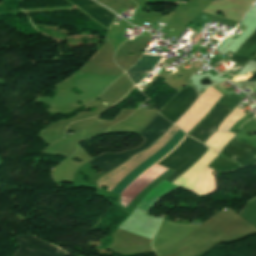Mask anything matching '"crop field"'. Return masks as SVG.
<instances>
[{
    "label": "crop field",
    "instance_id": "crop-field-2",
    "mask_svg": "<svg viewBox=\"0 0 256 256\" xmlns=\"http://www.w3.org/2000/svg\"><path fill=\"white\" fill-rule=\"evenodd\" d=\"M171 125L173 124L161 117L158 113L154 120L138 133L144 139V142L141 146L122 152L104 153L99 157L85 163L84 165L93 170L92 167H96V164L107 173L111 169L126 161L128 157L149 147L158 138H160ZM93 171L95 172V170Z\"/></svg>",
    "mask_w": 256,
    "mask_h": 256
},
{
    "label": "crop field",
    "instance_id": "crop-field-3",
    "mask_svg": "<svg viewBox=\"0 0 256 256\" xmlns=\"http://www.w3.org/2000/svg\"><path fill=\"white\" fill-rule=\"evenodd\" d=\"M228 108V106L217 102L209 114L192 129L189 135L204 143L230 112L227 110Z\"/></svg>",
    "mask_w": 256,
    "mask_h": 256
},
{
    "label": "crop field",
    "instance_id": "crop-field-8",
    "mask_svg": "<svg viewBox=\"0 0 256 256\" xmlns=\"http://www.w3.org/2000/svg\"><path fill=\"white\" fill-rule=\"evenodd\" d=\"M69 2L74 3L79 8H81L84 12L90 15L97 22L102 24L104 27H107L109 22L111 21L113 15L103 8L97 6L90 0H67ZM114 18V17H113Z\"/></svg>",
    "mask_w": 256,
    "mask_h": 256
},
{
    "label": "crop field",
    "instance_id": "crop-field-9",
    "mask_svg": "<svg viewBox=\"0 0 256 256\" xmlns=\"http://www.w3.org/2000/svg\"><path fill=\"white\" fill-rule=\"evenodd\" d=\"M162 57L159 56H151L148 57H142L128 72L127 74L132 79V81L135 83H139L143 78L148 76L152 69L155 67V65L158 63V61Z\"/></svg>",
    "mask_w": 256,
    "mask_h": 256
},
{
    "label": "crop field",
    "instance_id": "crop-field-4",
    "mask_svg": "<svg viewBox=\"0 0 256 256\" xmlns=\"http://www.w3.org/2000/svg\"><path fill=\"white\" fill-rule=\"evenodd\" d=\"M196 98V91L192 87L182 88L160 113L174 123L192 105Z\"/></svg>",
    "mask_w": 256,
    "mask_h": 256
},
{
    "label": "crop field",
    "instance_id": "crop-field-6",
    "mask_svg": "<svg viewBox=\"0 0 256 256\" xmlns=\"http://www.w3.org/2000/svg\"><path fill=\"white\" fill-rule=\"evenodd\" d=\"M21 247L14 256H65L67 253L29 235L16 237Z\"/></svg>",
    "mask_w": 256,
    "mask_h": 256
},
{
    "label": "crop field",
    "instance_id": "crop-field-11",
    "mask_svg": "<svg viewBox=\"0 0 256 256\" xmlns=\"http://www.w3.org/2000/svg\"><path fill=\"white\" fill-rule=\"evenodd\" d=\"M209 167H211L215 170H218V171L226 172V171H231V170L237 169L239 167V165L218 155L211 162Z\"/></svg>",
    "mask_w": 256,
    "mask_h": 256
},
{
    "label": "crop field",
    "instance_id": "crop-field-10",
    "mask_svg": "<svg viewBox=\"0 0 256 256\" xmlns=\"http://www.w3.org/2000/svg\"><path fill=\"white\" fill-rule=\"evenodd\" d=\"M256 52V31L254 34L237 50L231 61L244 65L246 61Z\"/></svg>",
    "mask_w": 256,
    "mask_h": 256
},
{
    "label": "crop field",
    "instance_id": "crop-field-5",
    "mask_svg": "<svg viewBox=\"0 0 256 256\" xmlns=\"http://www.w3.org/2000/svg\"><path fill=\"white\" fill-rule=\"evenodd\" d=\"M219 154L239 163L241 168L256 165V147L235 138L230 140Z\"/></svg>",
    "mask_w": 256,
    "mask_h": 256
},
{
    "label": "crop field",
    "instance_id": "crop-field-1",
    "mask_svg": "<svg viewBox=\"0 0 256 256\" xmlns=\"http://www.w3.org/2000/svg\"><path fill=\"white\" fill-rule=\"evenodd\" d=\"M208 149V147L194 141L187 136L184 141L166 158L160 161L158 164L170 168L174 171L171 176L166 180L173 181L183 172H185L191 165H193ZM162 181L155 188H153L138 204L137 208L149 212L154 206L157 199L164 197L174 190L180 188L168 181Z\"/></svg>",
    "mask_w": 256,
    "mask_h": 256
},
{
    "label": "crop field",
    "instance_id": "crop-field-7",
    "mask_svg": "<svg viewBox=\"0 0 256 256\" xmlns=\"http://www.w3.org/2000/svg\"><path fill=\"white\" fill-rule=\"evenodd\" d=\"M186 134L181 132L180 130L177 134L170 140V142L154 154L151 158L145 161L142 165H140L136 170H134L130 175H128L125 179H123L119 184H117L110 191L119 194L126 186H128L136 177L142 174L145 170H147L150 166H152L155 162L169 153L176 145L184 138Z\"/></svg>",
    "mask_w": 256,
    "mask_h": 256
}]
</instances>
